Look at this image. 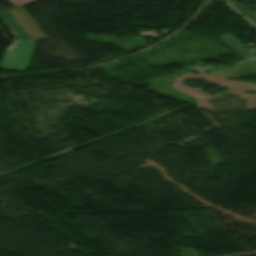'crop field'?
<instances>
[{"label":"crop field","instance_id":"crop-field-1","mask_svg":"<svg viewBox=\"0 0 256 256\" xmlns=\"http://www.w3.org/2000/svg\"><path fill=\"white\" fill-rule=\"evenodd\" d=\"M0 18L22 43L11 46L6 51L0 67L4 69H27L35 40L8 11L1 13Z\"/></svg>","mask_w":256,"mask_h":256},{"label":"crop field","instance_id":"crop-field-2","mask_svg":"<svg viewBox=\"0 0 256 256\" xmlns=\"http://www.w3.org/2000/svg\"><path fill=\"white\" fill-rule=\"evenodd\" d=\"M228 46H230L244 60L253 58L254 56L231 34L219 36Z\"/></svg>","mask_w":256,"mask_h":256},{"label":"crop field","instance_id":"crop-field-3","mask_svg":"<svg viewBox=\"0 0 256 256\" xmlns=\"http://www.w3.org/2000/svg\"><path fill=\"white\" fill-rule=\"evenodd\" d=\"M226 69L227 70L212 72V73L222 74V75H225L227 78L238 77V76L255 73V71L251 69L245 62L235 64L234 66H231V67H226Z\"/></svg>","mask_w":256,"mask_h":256},{"label":"crop field","instance_id":"crop-field-4","mask_svg":"<svg viewBox=\"0 0 256 256\" xmlns=\"http://www.w3.org/2000/svg\"><path fill=\"white\" fill-rule=\"evenodd\" d=\"M9 1L18 7V6H22V5L32 3V2H35L38 0H9Z\"/></svg>","mask_w":256,"mask_h":256},{"label":"crop field","instance_id":"crop-field-5","mask_svg":"<svg viewBox=\"0 0 256 256\" xmlns=\"http://www.w3.org/2000/svg\"><path fill=\"white\" fill-rule=\"evenodd\" d=\"M248 64L256 70V59L249 61Z\"/></svg>","mask_w":256,"mask_h":256}]
</instances>
